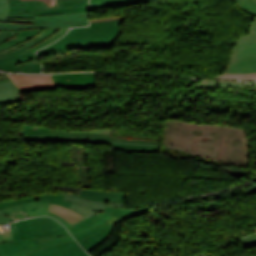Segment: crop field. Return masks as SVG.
<instances>
[{"instance_id": "1", "label": "crop field", "mask_w": 256, "mask_h": 256, "mask_svg": "<svg viewBox=\"0 0 256 256\" xmlns=\"http://www.w3.org/2000/svg\"><path fill=\"white\" fill-rule=\"evenodd\" d=\"M123 20L90 23V27L72 28L52 45L37 52L38 56L63 53L68 48L112 47Z\"/></svg>"}, {"instance_id": "2", "label": "crop field", "mask_w": 256, "mask_h": 256, "mask_svg": "<svg viewBox=\"0 0 256 256\" xmlns=\"http://www.w3.org/2000/svg\"><path fill=\"white\" fill-rule=\"evenodd\" d=\"M8 0H0V29L74 27L88 24V13L58 14L35 19H7Z\"/></svg>"}, {"instance_id": "3", "label": "crop field", "mask_w": 256, "mask_h": 256, "mask_svg": "<svg viewBox=\"0 0 256 256\" xmlns=\"http://www.w3.org/2000/svg\"><path fill=\"white\" fill-rule=\"evenodd\" d=\"M125 192H110L83 188L79 195L66 194L64 200L70 201L71 209L88 218L96 211H104L105 206L123 207Z\"/></svg>"}, {"instance_id": "4", "label": "crop field", "mask_w": 256, "mask_h": 256, "mask_svg": "<svg viewBox=\"0 0 256 256\" xmlns=\"http://www.w3.org/2000/svg\"><path fill=\"white\" fill-rule=\"evenodd\" d=\"M256 72V18L250 32L237 41L225 73Z\"/></svg>"}, {"instance_id": "5", "label": "crop field", "mask_w": 256, "mask_h": 256, "mask_svg": "<svg viewBox=\"0 0 256 256\" xmlns=\"http://www.w3.org/2000/svg\"><path fill=\"white\" fill-rule=\"evenodd\" d=\"M83 5L88 0H10L8 18H34L33 10Z\"/></svg>"}, {"instance_id": "6", "label": "crop field", "mask_w": 256, "mask_h": 256, "mask_svg": "<svg viewBox=\"0 0 256 256\" xmlns=\"http://www.w3.org/2000/svg\"><path fill=\"white\" fill-rule=\"evenodd\" d=\"M35 53L31 54L26 47L18 48L15 51L0 56V69L16 72L40 73L41 64H31L16 68L14 64L35 59Z\"/></svg>"}, {"instance_id": "7", "label": "crop field", "mask_w": 256, "mask_h": 256, "mask_svg": "<svg viewBox=\"0 0 256 256\" xmlns=\"http://www.w3.org/2000/svg\"><path fill=\"white\" fill-rule=\"evenodd\" d=\"M32 228L33 238H37L38 241L68 234L63 225L47 217L32 219Z\"/></svg>"}, {"instance_id": "8", "label": "crop field", "mask_w": 256, "mask_h": 256, "mask_svg": "<svg viewBox=\"0 0 256 256\" xmlns=\"http://www.w3.org/2000/svg\"><path fill=\"white\" fill-rule=\"evenodd\" d=\"M22 135L47 136V137H82V138H90V139H107V140L159 143L154 141L115 138V137H110L111 134L68 133V132H57V131L37 130V129H23Z\"/></svg>"}, {"instance_id": "9", "label": "crop field", "mask_w": 256, "mask_h": 256, "mask_svg": "<svg viewBox=\"0 0 256 256\" xmlns=\"http://www.w3.org/2000/svg\"><path fill=\"white\" fill-rule=\"evenodd\" d=\"M112 224L103 220L102 218L94 215L76 225L75 228L69 229L73 237L78 241L89 237L97 232H100L106 228H110Z\"/></svg>"}, {"instance_id": "10", "label": "crop field", "mask_w": 256, "mask_h": 256, "mask_svg": "<svg viewBox=\"0 0 256 256\" xmlns=\"http://www.w3.org/2000/svg\"><path fill=\"white\" fill-rule=\"evenodd\" d=\"M58 88H79L96 85L97 73L52 75Z\"/></svg>"}, {"instance_id": "11", "label": "crop field", "mask_w": 256, "mask_h": 256, "mask_svg": "<svg viewBox=\"0 0 256 256\" xmlns=\"http://www.w3.org/2000/svg\"><path fill=\"white\" fill-rule=\"evenodd\" d=\"M26 256H89L75 240L57 246L38 250Z\"/></svg>"}, {"instance_id": "12", "label": "crop field", "mask_w": 256, "mask_h": 256, "mask_svg": "<svg viewBox=\"0 0 256 256\" xmlns=\"http://www.w3.org/2000/svg\"><path fill=\"white\" fill-rule=\"evenodd\" d=\"M149 211L150 210L148 206L139 209L106 207L104 213L97 215L109 221L110 223H116Z\"/></svg>"}, {"instance_id": "13", "label": "crop field", "mask_w": 256, "mask_h": 256, "mask_svg": "<svg viewBox=\"0 0 256 256\" xmlns=\"http://www.w3.org/2000/svg\"><path fill=\"white\" fill-rule=\"evenodd\" d=\"M23 137L25 142L57 141V142H80V143H91V144L123 143V144H141V145L160 146L159 144L107 141V140H90V139H81V138H47V137H32V136H23Z\"/></svg>"}, {"instance_id": "14", "label": "crop field", "mask_w": 256, "mask_h": 256, "mask_svg": "<svg viewBox=\"0 0 256 256\" xmlns=\"http://www.w3.org/2000/svg\"><path fill=\"white\" fill-rule=\"evenodd\" d=\"M63 197L64 195L59 194V195H48V196H33L28 198L16 199L13 201L0 203V209L10 207V206L26 204V203L34 202L40 199H49V203L64 206L67 208L72 203L63 201Z\"/></svg>"}, {"instance_id": "15", "label": "crop field", "mask_w": 256, "mask_h": 256, "mask_svg": "<svg viewBox=\"0 0 256 256\" xmlns=\"http://www.w3.org/2000/svg\"><path fill=\"white\" fill-rule=\"evenodd\" d=\"M13 240L32 238L31 219L10 223Z\"/></svg>"}, {"instance_id": "16", "label": "crop field", "mask_w": 256, "mask_h": 256, "mask_svg": "<svg viewBox=\"0 0 256 256\" xmlns=\"http://www.w3.org/2000/svg\"><path fill=\"white\" fill-rule=\"evenodd\" d=\"M20 101V95L12 81L0 83V103Z\"/></svg>"}, {"instance_id": "17", "label": "crop field", "mask_w": 256, "mask_h": 256, "mask_svg": "<svg viewBox=\"0 0 256 256\" xmlns=\"http://www.w3.org/2000/svg\"><path fill=\"white\" fill-rule=\"evenodd\" d=\"M70 240H73V238L69 234V235L64 236V237H59V238H54V239L41 241V242H39L40 246H38V247H34V248L26 249V250H23V251L11 253V254H8L6 256H25V254L30 253L32 251H35V250H38V249H41V248H45V247H49V246H53V245H57V244H60V243L66 242V241H70ZM0 256H4L2 251H1V248H0Z\"/></svg>"}, {"instance_id": "18", "label": "crop field", "mask_w": 256, "mask_h": 256, "mask_svg": "<svg viewBox=\"0 0 256 256\" xmlns=\"http://www.w3.org/2000/svg\"><path fill=\"white\" fill-rule=\"evenodd\" d=\"M1 248L4 252V254H8L11 252L23 250L26 248L38 246L39 243L36 239H31V240H22V241H13V242H6V243H1Z\"/></svg>"}, {"instance_id": "19", "label": "crop field", "mask_w": 256, "mask_h": 256, "mask_svg": "<svg viewBox=\"0 0 256 256\" xmlns=\"http://www.w3.org/2000/svg\"><path fill=\"white\" fill-rule=\"evenodd\" d=\"M194 87H256V82H230L220 80H204Z\"/></svg>"}, {"instance_id": "20", "label": "crop field", "mask_w": 256, "mask_h": 256, "mask_svg": "<svg viewBox=\"0 0 256 256\" xmlns=\"http://www.w3.org/2000/svg\"><path fill=\"white\" fill-rule=\"evenodd\" d=\"M43 29H28V30H21V32L14 37L10 38L6 42L0 44V51L6 48H9L19 42H22L36 34H38Z\"/></svg>"}, {"instance_id": "21", "label": "crop field", "mask_w": 256, "mask_h": 256, "mask_svg": "<svg viewBox=\"0 0 256 256\" xmlns=\"http://www.w3.org/2000/svg\"><path fill=\"white\" fill-rule=\"evenodd\" d=\"M49 212H54L55 214L60 215L61 217L69 221L72 225L85 219L84 217L71 210L51 204H49Z\"/></svg>"}, {"instance_id": "22", "label": "crop field", "mask_w": 256, "mask_h": 256, "mask_svg": "<svg viewBox=\"0 0 256 256\" xmlns=\"http://www.w3.org/2000/svg\"><path fill=\"white\" fill-rule=\"evenodd\" d=\"M13 82H54L51 75H15L9 74Z\"/></svg>"}, {"instance_id": "23", "label": "crop field", "mask_w": 256, "mask_h": 256, "mask_svg": "<svg viewBox=\"0 0 256 256\" xmlns=\"http://www.w3.org/2000/svg\"><path fill=\"white\" fill-rule=\"evenodd\" d=\"M111 230H112V228L106 229L100 233H97V234L79 242V244L87 251V250L91 249L92 247L96 246L97 244H99L105 238H107V236L111 232Z\"/></svg>"}, {"instance_id": "24", "label": "crop field", "mask_w": 256, "mask_h": 256, "mask_svg": "<svg viewBox=\"0 0 256 256\" xmlns=\"http://www.w3.org/2000/svg\"><path fill=\"white\" fill-rule=\"evenodd\" d=\"M78 12H88V6L34 11L35 16Z\"/></svg>"}, {"instance_id": "25", "label": "crop field", "mask_w": 256, "mask_h": 256, "mask_svg": "<svg viewBox=\"0 0 256 256\" xmlns=\"http://www.w3.org/2000/svg\"><path fill=\"white\" fill-rule=\"evenodd\" d=\"M140 3H151V1L137 0V1L112 2V3H104V4H90V10L127 6V5L140 4Z\"/></svg>"}, {"instance_id": "26", "label": "crop field", "mask_w": 256, "mask_h": 256, "mask_svg": "<svg viewBox=\"0 0 256 256\" xmlns=\"http://www.w3.org/2000/svg\"><path fill=\"white\" fill-rule=\"evenodd\" d=\"M115 149L124 151H138V152H149L155 151L159 152L160 147L153 146H141V145H123V144H111Z\"/></svg>"}, {"instance_id": "27", "label": "crop field", "mask_w": 256, "mask_h": 256, "mask_svg": "<svg viewBox=\"0 0 256 256\" xmlns=\"http://www.w3.org/2000/svg\"><path fill=\"white\" fill-rule=\"evenodd\" d=\"M69 28L59 29L56 33H54L50 38L46 39L45 41L41 42L40 44L28 49L31 53L49 45L50 43L57 40L59 37L64 35Z\"/></svg>"}, {"instance_id": "28", "label": "crop field", "mask_w": 256, "mask_h": 256, "mask_svg": "<svg viewBox=\"0 0 256 256\" xmlns=\"http://www.w3.org/2000/svg\"><path fill=\"white\" fill-rule=\"evenodd\" d=\"M238 7L256 17V0H234ZM245 12V13H246Z\"/></svg>"}, {"instance_id": "29", "label": "crop field", "mask_w": 256, "mask_h": 256, "mask_svg": "<svg viewBox=\"0 0 256 256\" xmlns=\"http://www.w3.org/2000/svg\"><path fill=\"white\" fill-rule=\"evenodd\" d=\"M19 90L57 88L55 83H15Z\"/></svg>"}, {"instance_id": "30", "label": "crop field", "mask_w": 256, "mask_h": 256, "mask_svg": "<svg viewBox=\"0 0 256 256\" xmlns=\"http://www.w3.org/2000/svg\"><path fill=\"white\" fill-rule=\"evenodd\" d=\"M216 78H234V79H256V73L248 74H221Z\"/></svg>"}, {"instance_id": "31", "label": "crop field", "mask_w": 256, "mask_h": 256, "mask_svg": "<svg viewBox=\"0 0 256 256\" xmlns=\"http://www.w3.org/2000/svg\"><path fill=\"white\" fill-rule=\"evenodd\" d=\"M20 30H0V43L19 33Z\"/></svg>"}, {"instance_id": "32", "label": "crop field", "mask_w": 256, "mask_h": 256, "mask_svg": "<svg viewBox=\"0 0 256 256\" xmlns=\"http://www.w3.org/2000/svg\"><path fill=\"white\" fill-rule=\"evenodd\" d=\"M243 245L256 243V234H252L240 239Z\"/></svg>"}, {"instance_id": "33", "label": "crop field", "mask_w": 256, "mask_h": 256, "mask_svg": "<svg viewBox=\"0 0 256 256\" xmlns=\"http://www.w3.org/2000/svg\"><path fill=\"white\" fill-rule=\"evenodd\" d=\"M48 215L51 216V217H54L56 220H58L59 222H61L62 224H64L67 229L73 228V226H72L69 222H67L66 220H64L63 218H61V217H59V216H57V215H55V214H53V213H49Z\"/></svg>"}, {"instance_id": "34", "label": "crop field", "mask_w": 256, "mask_h": 256, "mask_svg": "<svg viewBox=\"0 0 256 256\" xmlns=\"http://www.w3.org/2000/svg\"><path fill=\"white\" fill-rule=\"evenodd\" d=\"M5 241H12L10 232L0 234V243Z\"/></svg>"}, {"instance_id": "35", "label": "crop field", "mask_w": 256, "mask_h": 256, "mask_svg": "<svg viewBox=\"0 0 256 256\" xmlns=\"http://www.w3.org/2000/svg\"><path fill=\"white\" fill-rule=\"evenodd\" d=\"M9 221H14V219L11 218V217H6V216L0 214V224L5 223V222H9Z\"/></svg>"}, {"instance_id": "36", "label": "crop field", "mask_w": 256, "mask_h": 256, "mask_svg": "<svg viewBox=\"0 0 256 256\" xmlns=\"http://www.w3.org/2000/svg\"><path fill=\"white\" fill-rule=\"evenodd\" d=\"M21 46H23V45L20 43V44L14 46V47H12V48L3 50V51L0 52V55H2V54H4V53H7V52H9V51H11V50H14V49H16V48H18V47H21Z\"/></svg>"}, {"instance_id": "37", "label": "crop field", "mask_w": 256, "mask_h": 256, "mask_svg": "<svg viewBox=\"0 0 256 256\" xmlns=\"http://www.w3.org/2000/svg\"><path fill=\"white\" fill-rule=\"evenodd\" d=\"M111 1H123V0H90V3H103V2H111Z\"/></svg>"}, {"instance_id": "38", "label": "crop field", "mask_w": 256, "mask_h": 256, "mask_svg": "<svg viewBox=\"0 0 256 256\" xmlns=\"http://www.w3.org/2000/svg\"><path fill=\"white\" fill-rule=\"evenodd\" d=\"M31 63H39V62H38L37 59L36 60H31V61H28V62H25V63L17 64L16 67L21 66V65H25V64H31Z\"/></svg>"}, {"instance_id": "39", "label": "crop field", "mask_w": 256, "mask_h": 256, "mask_svg": "<svg viewBox=\"0 0 256 256\" xmlns=\"http://www.w3.org/2000/svg\"><path fill=\"white\" fill-rule=\"evenodd\" d=\"M10 80V78L9 79H6V80H2V81H0V82H5V81H9Z\"/></svg>"}]
</instances>
